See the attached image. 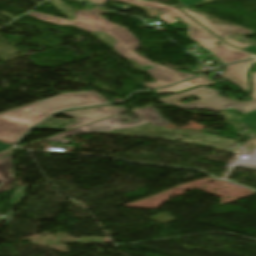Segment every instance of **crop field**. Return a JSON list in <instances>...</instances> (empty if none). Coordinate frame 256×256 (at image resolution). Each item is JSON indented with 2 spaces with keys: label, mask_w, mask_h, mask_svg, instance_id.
Returning a JSON list of instances; mask_svg holds the SVG:
<instances>
[{
  "label": "crop field",
  "mask_w": 256,
  "mask_h": 256,
  "mask_svg": "<svg viewBox=\"0 0 256 256\" xmlns=\"http://www.w3.org/2000/svg\"><path fill=\"white\" fill-rule=\"evenodd\" d=\"M95 92L67 93L28 105L33 108L27 111L15 109L0 114V152L13 145L32 125L55 112L65 108L109 103Z\"/></svg>",
  "instance_id": "8a807250"
},
{
  "label": "crop field",
  "mask_w": 256,
  "mask_h": 256,
  "mask_svg": "<svg viewBox=\"0 0 256 256\" xmlns=\"http://www.w3.org/2000/svg\"><path fill=\"white\" fill-rule=\"evenodd\" d=\"M116 1L138 4L143 7L157 9L160 12L164 13V14L160 15L159 18H161L167 24H171L176 21L184 20V22H186L190 27L188 30V37L190 39H192L193 41L198 42L205 49H208L218 59H220L224 64L256 57L253 54L238 50L236 48H233V47L223 43L222 40L215 37L213 34H211L205 28L198 25L197 23L192 21L190 18H188L187 16L182 14L175 7L160 5V4L154 3L152 1H146V0H116ZM106 2H107V0H90V3H96V4H104ZM174 17H178L180 19L174 20ZM216 42H220L221 46H217L215 44Z\"/></svg>",
  "instance_id": "ac0d7876"
},
{
  "label": "crop field",
  "mask_w": 256,
  "mask_h": 256,
  "mask_svg": "<svg viewBox=\"0 0 256 256\" xmlns=\"http://www.w3.org/2000/svg\"><path fill=\"white\" fill-rule=\"evenodd\" d=\"M251 82H252V88H253L251 97L254 100L247 103H241L228 98L220 97L218 96V94L220 93L218 90L204 88V87H198L190 91H186V92L179 93L167 98L160 99L159 101L166 104L175 105V106H179L187 109L205 108L207 110L214 111V112H218L224 108H230L232 106L238 111L246 113L249 111L256 110V72L251 73ZM201 94H205V95L203 97H200L199 95ZM193 95H196L201 99L198 101H194L186 104H181L177 102V100L179 99L186 98Z\"/></svg>",
  "instance_id": "34b2d1b8"
},
{
  "label": "crop field",
  "mask_w": 256,
  "mask_h": 256,
  "mask_svg": "<svg viewBox=\"0 0 256 256\" xmlns=\"http://www.w3.org/2000/svg\"><path fill=\"white\" fill-rule=\"evenodd\" d=\"M115 40H116V45H114V49L121 56L127 59H132L140 65L153 66L152 69H145V71L151 74V76H153L156 80L154 83L144 84V86L148 88L166 86L171 83L186 80L192 76H195L192 74H186L180 71L171 70L162 65L155 64L140 55H137L134 52V50L139 48L138 46L139 41L132 34L116 37Z\"/></svg>",
  "instance_id": "412701ff"
},
{
  "label": "crop field",
  "mask_w": 256,
  "mask_h": 256,
  "mask_svg": "<svg viewBox=\"0 0 256 256\" xmlns=\"http://www.w3.org/2000/svg\"><path fill=\"white\" fill-rule=\"evenodd\" d=\"M139 116L140 118L134 122L124 123L122 124L120 121L125 120L120 115L114 116L108 119H104L101 121H97L91 124H88L86 126L69 130L67 132L59 133L56 136L47 138V140L51 142L60 141L65 144L70 143L71 141H67L65 139H62L65 136L72 135V134H79L84 132H93V131H111V130H118V129H124V128H130V127H137L146 123H151L157 127H162L170 122H166L162 119V117L159 115L157 110L153 109L151 106L145 107L144 110L139 109L134 112H132Z\"/></svg>",
  "instance_id": "f4fd0767"
},
{
  "label": "crop field",
  "mask_w": 256,
  "mask_h": 256,
  "mask_svg": "<svg viewBox=\"0 0 256 256\" xmlns=\"http://www.w3.org/2000/svg\"><path fill=\"white\" fill-rule=\"evenodd\" d=\"M98 13H110L108 11L98 10L93 8L91 11H76V19L74 21H67L60 18L48 16L45 14H41L38 12L32 11L27 15H31L37 19L56 23V24H66V25H74L78 28L87 30V31H107L111 29L118 28L120 26L113 24L107 21L104 17L98 15Z\"/></svg>",
  "instance_id": "dd49c442"
},
{
  "label": "crop field",
  "mask_w": 256,
  "mask_h": 256,
  "mask_svg": "<svg viewBox=\"0 0 256 256\" xmlns=\"http://www.w3.org/2000/svg\"><path fill=\"white\" fill-rule=\"evenodd\" d=\"M182 11H184L186 14H188L194 20L199 22L201 25H203L204 27L209 29L211 32H213L214 34L219 36L221 39H223L227 43H229L239 49H243L251 44L250 43H239L237 41L227 38L226 36L231 35V34H236V33H239V34H242L245 36H252V35L256 34L255 32H252L250 30H247V29L241 28V27L212 24L203 16L193 13L185 8L182 9Z\"/></svg>",
  "instance_id": "e52e79f7"
},
{
  "label": "crop field",
  "mask_w": 256,
  "mask_h": 256,
  "mask_svg": "<svg viewBox=\"0 0 256 256\" xmlns=\"http://www.w3.org/2000/svg\"><path fill=\"white\" fill-rule=\"evenodd\" d=\"M127 111L123 107H101V108H92V109H85V110H75V111H68L63 114L71 116L76 119L77 123L66 126L65 129H73L88 123L101 120L107 117H111L114 115L121 114Z\"/></svg>",
  "instance_id": "d8731c3e"
},
{
  "label": "crop field",
  "mask_w": 256,
  "mask_h": 256,
  "mask_svg": "<svg viewBox=\"0 0 256 256\" xmlns=\"http://www.w3.org/2000/svg\"><path fill=\"white\" fill-rule=\"evenodd\" d=\"M254 62H256V60L226 66V70L223 71V74L219 77L226 78L232 83L238 85L244 91H248V78L246 73Z\"/></svg>",
  "instance_id": "5a996713"
},
{
  "label": "crop field",
  "mask_w": 256,
  "mask_h": 256,
  "mask_svg": "<svg viewBox=\"0 0 256 256\" xmlns=\"http://www.w3.org/2000/svg\"><path fill=\"white\" fill-rule=\"evenodd\" d=\"M214 84V82H212L210 79H208L207 77L203 76L197 79H193V80H189L168 88H164V89H159V90H155L156 93H167V92H177L189 87H193V86H198V85H211Z\"/></svg>",
  "instance_id": "3316defc"
},
{
  "label": "crop field",
  "mask_w": 256,
  "mask_h": 256,
  "mask_svg": "<svg viewBox=\"0 0 256 256\" xmlns=\"http://www.w3.org/2000/svg\"><path fill=\"white\" fill-rule=\"evenodd\" d=\"M11 156L12 154L0 160V182L3 183L2 187H0V192L13 188L9 184L12 181V173L7 171V169L11 168Z\"/></svg>",
  "instance_id": "28ad6ade"
},
{
  "label": "crop field",
  "mask_w": 256,
  "mask_h": 256,
  "mask_svg": "<svg viewBox=\"0 0 256 256\" xmlns=\"http://www.w3.org/2000/svg\"><path fill=\"white\" fill-rule=\"evenodd\" d=\"M238 121L256 130V111L244 114Z\"/></svg>",
  "instance_id": "d1516ede"
},
{
  "label": "crop field",
  "mask_w": 256,
  "mask_h": 256,
  "mask_svg": "<svg viewBox=\"0 0 256 256\" xmlns=\"http://www.w3.org/2000/svg\"><path fill=\"white\" fill-rule=\"evenodd\" d=\"M104 33H106L112 37H116V36H120V35L129 34V31L126 28H118L116 30L107 31Z\"/></svg>",
  "instance_id": "22f410ed"
},
{
  "label": "crop field",
  "mask_w": 256,
  "mask_h": 256,
  "mask_svg": "<svg viewBox=\"0 0 256 256\" xmlns=\"http://www.w3.org/2000/svg\"><path fill=\"white\" fill-rule=\"evenodd\" d=\"M183 5H190V4H194V3H198L201 2L203 0H180Z\"/></svg>",
  "instance_id": "cbeb9de0"
},
{
  "label": "crop field",
  "mask_w": 256,
  "mask_h": 256,
  "mask_svg": "<svg viewBox=\"0 0 256 256\" xmlns=\"http://www.w3.org/2000/svg\"><path fill=\"white\" fill-rule=\"evenodd\" d=\"M246 51L252 52L256 54V46H251L250 48H248Z\"/></svg>",
  "instance_id": "5142ce71"
},
{
  "label": "crop field",
  "mask_w": 256,
  "mask_h": 256,
  "mask_svg": "<svg viewBox=\"0 0 256 256\" xmlns=\"http://www.w3.org/2000/svg\"><path fill=\"white\" fill-rule=\"evenodd\" d=\"M29 108H30V107L25 106V107H22V108H20V109L26 110V109H29Z\"/></svg>",
  "instance_id": "d9b57169"
},
{
  "label": "crop field",
  "mask_w": 256,
  "mask_h": 256,
  "mask_svg": "<svg viewBox=\"0 0 256 256\" xmlns=\"http://www.w3.org/2000/svg\"><path fill=\"white\" fill-rule=\"evenodd\" d=\"M10 152H12V151H9V152H7V153L1 154L0 157L4 156V155H6V154H8V153H10Z\"/></svg>",
  "instance_id": "733c2abd"
}]
</instances>
